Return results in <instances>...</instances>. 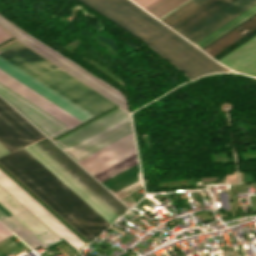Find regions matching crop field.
<instances>
[{
	"label": "crop field",
	"instance_id": "crop-field-18",
	"mask_svg": "<svg viewBox=\"0 0 256 256\" xmlns=\"http://www.w3.org/2000/svg\"><path fill=\"white\" fill-rule=\"evenodd\" d=\"M134 2H136L137 4H139L141 7H146L147 5H149L150 3L154 2L155 0H133Z\"/></svg>",
	"mask_w": 256,
	"mask_h": 256
},
{
	"label": "crop field",
	"instance_id": "crop-field-9",
	"mask_svg": "<svg viewBox=\"0 0 256 256\" xmlns=\"http://www.w3.org/2000/svg\"><path fill=\"white\" fill-rule=\"evenodd\" d=\"M127 116L129 113L118 107L54 142L64 150Z\"/></svg>",
	"mask_w": 256,
	"mask_h": 256
},
{
	"label": "crop field",
	"instance_id": "crop-field-8",
	"mask_svg": "<svg viewBox=\"0 0 256 256\" xmlns=\"http://www.w3.org/2000/svg\"><path fill=\"white\" fill-rule=\"evenodd\" d=\"M0 82L68 127L81 123L1 70Z\"/></svg>",
	"mask_w": 256,
	"mask_h": 256
},
{
	"label": "crop field",
	"instance_id": "crop-field-15",
	"mask_svg": "<svg viewBox=\"0 0 256 256\" xmlns=\"http://www.w3.org/2000/svg\"><path fill=\"white\" fill-rule=\"evenodd\" d=\"M216 1H218V0H207L203 4L199 5L198 7H196L195 9H193L189 13L185 14L184 16H182L181 18H179L178 20H176L175 22L171 23L168 26H170L173 29L176 28L177 26L184 23L185 21H187L188 19H190L191 17H193L197 13L201 12L202 10H204L205 8L210 6L211 4L215 3Z\"/></svg>",
	"mask_w": 256,
	"mask_h": 256
},
{
	"label": "crop field",
	"instance_id": "crop-field-6",
	"mask_svg": "<svg viewBox=\"0 0 256 256\" xmlns=\"http://www.w3.org/2000/svg\"><path fill=\"white\" fill-rule=\"evenodd\" d=\"M254 4L256 0H219L174 30L194 44Z\"/></svg>",
	"mask_w": 256,
	"mask_h": 256
},
{
	"label": "crop field",
	"instance_id": "crop-field-4",
	"mask_svg": "<svg viewBox=\"0 0 256 256\" xmlns=\"http://www.w3.org/2000/svg\"><path fill=\"white\" fill-rule=\"evenodd\" d=\"M130 133V118L127 117L64 151L77 161ZM135 154L130 134L77 162L94 175Z\"/></svg>",
	"mask_w": 256,
	"mask_h": 256
},
{
	"label": "crop field",
	"instance_id": "crop-field-11",
	"mask_svg": "<svg viewBox=\"0 0 256 256\" xmlns=\"http://www.w3.org/2000/svg\"><path fill=\"white\" fill-rule=\"evenodd\" d=\"M255 28L256 14L202 50L212 56Z\"/></svg>",
	"mask_w": 256,
	"mask_h": 256
},
{
	"label": "crop field",
	"instance_id": "crop-field-14",
	"mask_svg": "<svg viewBox=\"0 0 256 256\" xmlns=\"http://www.w3.org/2000/svg\"><path fill=\"white\" fill-rule=\"evenodd\" d=\"M184 1L185 0H157L144 9L159 18Z\"/></svg>",
	"mask_w": 256,
	"mask_h": 256
},
{
	"label": "crop field",
	"instance_id": "crop-field-1",
	"mask_svg": "<svg viewBox=\"0 0 256 256\" xmlns=\"http://www.w3.org/2000/svg\"><path fill=\"white\" fill-rule=\"evenodd\" d=\"M44 137L0 98V143L10 151ZM0 144V157L9 153ZM110 224L127 208L59 150L47 137L25 147ZM24 148L2 163L89 241L110 225Z\"/></svg>",
	"mask_w": 256,
	"mask_h": 256
},
{
	"label": "crop field",
	"instance_id": "crop-field-7",
	"mask_svg": "<svg viewBox=\"0 0 256 256\" xmlns=\"http://www.w3.org/2000/svg\"><path fill=\"white\" fill-rule=\"evenodd\" d=\"M0 185L31 213H33L39 220H41L47 227H49L55 234H57L59 237L62 236L77 251L85 245L34 199H32L26 192H24L17 184H15L9 177H7L1 170Z\"/></svg>",
	"mask_w": 256,
	"mask_h": 256
},
{
	"label": "crop field",
	"instance_id": "crop-field-2",
	"mask_svg": "<svg viewBox=\"0 0 256 256\" xmlns=\"http://www.w3.org/2000/svg\"><path fill=\"white\" fill-rule=\"evenodd\" d=\"M0 56L92 116L115 105L22 44ZM0 95L50 138L70 129L1 83Z\"/></svg>",
	"mask_w": 256,
	"mask_h": 256
},
{
	"label": "crop field",
	"instance_id": "crop-field-5",
	"mask_svg": "<svg viewBox=\"0 0 256 256\" xmlns=\"http://www.w3.org/2000/svg\"><path fill=\"white\" fill-rule=\"evenodd\" d=\"M0 26L3 27L6 31L12 34L15 38L20 40L22 43L39 53L41 56L46 58L47 60L51 61L52 63L56 64L57 66L63 68L64 70L68 71L69 73L73 74L74 76L78 77L89 86L94 88L95 90L99 91L103 95L107 96L123 108H126L125 100L123 94L115 90L113 87L108 85L107 83L101 81L100 79L96 78L95 76L89 74L88 72L84 71L78 65L74 64L70 60L66 59L62 55L58 54L57 52L51 50L50 48L46 47L38 40L18 28L16 25L5 19L0 15ZM77 78V79H78Z\"/></svg>",
	"mask_w": 256,
	"mask_h": 256
},
{
	"label": "crop field",
	"instance_id": "crop-field-17",
	"mask_svg": "<svg viewBox=\"0 0 256 256\" xmlns=\"http://www.w3.org/2000/svg\"><path fill=\"white\" fill-rule=\"evenodd\" d=\"M11 36L8 32H6L4 29L0 27V43L11 38Z\"/></svg>",
	"mask_w": 256,
	"mask_h": 256
},
{
	"label": "crop field",
	"instance_id": "crop-field-12",
	"mask_svg": "<svg viewBox=\"0 0 256 256\" xmlns=\"http://www.w3.org/2000/svg\"><path fill=\"white\" fill-rule=\"evenodd\" d=\"M0 209L3 210L9 217L12 216L10 212H8L2 205H0ZM2 211V212H3ZM0 211V218L6 216ZM7 218V217H5ZM3 218V219H5ZM1 219V220H3ZM0 220V221H1ZM8 228H10L15 234L20 236L24 241H26L30 246L36 248L38 246H47L44 242H42L36 235H34L27 227H25L19 220H17L14 216L2 221ZM31 247V248H32Z\"/></svg>",
	"mask_w": 256,
	"mask_h": 256
},
{
	"label": "crop field",
	"instance_id": "crop-field-19",
	"mask_svg": "<svg viewBox=\"0 0 256 256\" xmlns=\"http://www.w3.org/2000/svg\"><path fill=\"white\" fill-rule=\"evenodd\" d=\"M9 233L11 232L8 231L2 224H0V238L6 236Z\"/></svg>",
	"mask_w": 256,
	"mask_h": 256
},
{
	"label": "crop field",
	"instance_id": "crop-field-16",
	"mask_svg": "<svg viewBox=\"0 0 256 256\" xmlns=\"http://www.w3.org/2000/svg\"><path fill=\"white\" fill-rule=\"evenodd\" d=\"M204 1H206V0H194L193 2H191L190 4H188L187 6H185L184 8H182L181 10H179L175 14L171 15L170 17H168L167 19H165L162 22H164L165 24L168 25Z\"/></svg>",
	"mask_w": 256,
	"mask_h": 256
},
{
	"label": "crop field",
	"instance_id": "crop-field-10",
	"mask_svg": "<svg viewBox=\"0 0 256 256\" xmlns=\"http://www.w3.org/2000/svg\"><path fill=\"white\" fill-rule=\"evenodd\" d=\"M220 61L242 72L256 75V36Z\"/></svg>",
	"mask_w": 256,
	"mask_h": 256
},
{
	"label": "crop field",
	"instance_id": "crop-field-13",
	"mask_svg": "<svg viewBox=\"0 0 256 256\" xmlns=\"http://www.w3.org/2000/svg\"><path fill=\"white\" fill-rule=\"evenodd\" d=\"M255 13H256V5H254L253 7H251L250 9H248L247 11H245L235 19L231 20L230 22H228L227 24H225L215 32L211 33L201 41L197 42L195 45L201 49L204 48L205 46H207L208 44H210L211 42H213L214 40H216L217 38H219L220 36L228 32L229 30H231L241 22L245 21Z\"/></svg>",
	"mask_w": 256,
	"mask_h": 256
},
{
	"label": "crop field",
	"instance_id": "crop-field-3",
	"mask_svg": "<svg viewBox=\"0 0 256 256\" xmlns=\"http://www.w3.org/2000/svg\"><path fill=\"white\" fill-rule=\"evenodd\" d=\"M144 41L191 80L203 74L230 71L217 64L130 0H80Z\"/></svg>",
	"mask_w": 256,
	"mask_h": 256
}]
</instances>
